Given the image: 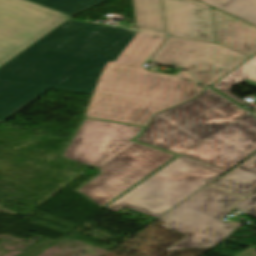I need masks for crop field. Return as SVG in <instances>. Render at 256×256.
<instances>
[{"label": "crop field", "instance_id": "obj_1", "mask_svg": "<svg viewBox=\"0 0 256 256\" xmlns=\"http://www.w3.org/2000/svg\"><path fill=\"white\" fill-rule=\"evenodd\" d=\"M136 33L65 21L0 67V122L51 88L90 94Z\"/></svg>", "mask_w": 256, "mask_h": 256}, {"label": "crop field", "instance_id": "obj_2", "mask_svg": "<svg viewBox=\"0 0 256 256\" xmlns=\"http://www.w3.org/2000/svg\"><path fill=\"white\" fill-rule=\"evenodd\" d=\"M164 38L138 32L118 59L105 66L85 116L146 126L152 114L197 96L203 89L190 74L173 76L142 67Z\"/></svg>", "mask_w": 256, "mask_h": 256}, {"label": "crop field", "instance_id": "obj_3", "mask_svg": "<svg viewBox=\"0 0 256 256\" xmlns=\"http://www.w3.org/2000/svg\"><path fill=\"white\" fill-rule=\"evenodd\" d=\"M143 129L84 117L61 157L99 174L74 191L102 208L178 157L133 141Z\"/></svg>", "mask_w": 256, "mask_h": 256}, {"label": "crop field", "instance_id": "obj_4", "mask_svg": "<svg viewBox=\"0 0 256 256\" xmlns=\"http://www.w3.org/2000/svg\"><path fill=\"white\" fill-rule=\"evenodd\" d=\"M244 114L207 89L196 99L154 115L136 141L180 154Z\"/></svg>", "mask_w": 256, "mask_h": 256}, {"label": "crop field", "instance_id": "obj_5", "mask_svg": "<svg viewBox=\"0 0 256 256\" xmlns=\"http://www.w3.org/2000/svg\"><path fill=\"white\" fill-rule=\"evenodd\" d=\"M224 170L179 156L106 207H123L158 218Z\"/></svg>", "mask_w": 256, "mask_h": 256}, {"label": "crop field", "instance_id": "obj_6", "mask_svg": "<svg viewBox=\"0 0 256 256\" xmlns=\"http://www.w3.org/2000/svg\"><path fill=\"white\" fill-rule=\"evenodd\" d=\"M238 200L240 198L205 186L158 218L166 222L161 226L185 236L167 250L211 248L218 244L235 229L221 219L230 213L231 205Z\"/></svg>", "mask_w": 256, "mask_h": 256}, {"label": "crop field", "instance_id": "obj_7", "mask_svg": "<svg viewBox=\"0 0 256 256\" xmlns=\"http://www.w3.org/2000/svg\"><path fill=\"white\" fill-rule=\"evenodd\" d=\"M68 18L25 0H0V66Z\"/></svg>", "mask_w": 256, "mask_h": 256}, {"label": "crop field", "instance_id": "obj_8", "mask_svg": "<svg viewBox=\"0 0 256 256\" xmlns=\"http://www.w3.org/2000/svg\"><path fill=\"white\" fill-rule=\"evenodd\" d=\"M247 58L214 43L169 36L152 59L167 66L174 63L210 86Z\"/></svg>", "mask_w": 256, "mask_h": 256}, {"label": "crop field", "instance_id": "obj_9", "mask_svg": "<svg viewBox=\"0 0 256 256\" xmlns=\"http://www.w3.org/2000/svg\"><path fill=\"white\" fill-rule=\"evenodd\" d=\"M256 150V118L246 115L182 156L228 170Z\"/></svg>", "mask_w": 256, "mask_h": 256}, {"label": "crop field", "instance_id": "obj_10", "mask_svg": "<svg viewBox=\"0 0 256 256\" xmlns=\"http://www.w3.org/2000/svg\"><path fill=\"white\" fill-rule=\"evenodd\" d=\"M169 35L213 42L210 7L195 0H163Z\"/></svg>", "mask_w": 256, "mask_h": 256}, {"label": "crop field", "instance_id": "obj_11", "mask_svg": "<svg viewBox=\"0 0 256 256\" xmlns=\"http://www.w3.org/2000/svg\"><path fill=\"white\" fill-rule=\"evenodd\" d=\"M216 44L246 55L256 53V27L211 7Z\"/></svg>", "mask_w": 256, "mask_h": 256}, {"label": "crop field", "instance_id": "obj_12", "mask_svg": "<svg viewBox=\"0 0 256 256\" xmlns=\"http://www.w3.org/2000/svg\"><path fill=\"white\" fill-rule=\"evenodd\" d=\"M212 185L240 197L256 190V153L217 179Z\"/></svg>", "mask_w": 256, "mask_h": 256}, {"label": "crop field", "instance_id": "obj_13", "mask_svg": "<svg viewBox=\"0 0 256 256\" xmlns=\"http://www.w3.org/2000/svg\"><path fill=\"white\" fill-rule=\"evenodd\" d=\"M136 27L144 31L164 33L160 0H133Z\"/></svg>", "mask_w": 256, "mask_h": 256}, {"label": "crop field", "instance_id": "obj_14", "mask_svg": "<svg viewBox=\"0 0 256 256\" xmlns=\"http://www.w3.org/2000/svg\"><path fill=\"white\" fill-rule=\"evenodd\" d=\"M242 82H245L256 88V56L251 58L249 61L244 63L242 66L237 68L235 71L230 73L228 76L223 78L212 87L244 105L246 104L245 102L230 93L231 87Z\"/></svg>", "mask_w": 256, "mask_h": 256}, {"label": "crop field", "instance_id": "obj_15", "mask_svg": "<svg viewBox=\"0 0 256 256\" xmlns=\"http://www.w3.org/2000/svg\"><path fill=\"white\" fill-rule=\"evenodd\" d=\"M227 12L241 20L256 25V0H199Z\"/></svg>", "mask_w": 256, "mask_h": 256}, {"label": "crop field", "instance_id": "obj_16", "mask_svg": "<svg viewBox=\"0 0 256 256\" xmlns=\"http://www.w3.org/2000/svg\"><path fill=\"white\" fill-rule=\"evenodd\" d=\"M55 11L73 16L106 0H28Z\"/></svg>", "mask_w": 256, "mask_h": 256}, {"label": "crop field", "instance_id": "obj_17", "mask_svg": "<svg viewBox=\"0 0 256 256\" xmlns=\"http://www.w3.org/2000/svg\"><path fill=\"white\" fill-rule=\"evenodd\" d=\"M234 208L238 210H242V212L252 217H256V194L247 197L240 203L236 204Z\"/></svg>", "mask_w": 256, "mask_h": 256}, {"label": "crop field", "instance_id": "obj_18", "mask_svg": "<svg viewBox=\"0 0 256 256\" xmlns=\"http://www.w3.org/2000/svg\"><path fill=\"white\" fill-rule=\"evenodd\" d=\"M211 88V87H210ZM212 90H214L213 88H211ZM214 91H216V90H214ZM217 92V91H216ZM217 93H219V92H217ZM220 94V93H219ZM220 95H222V94H220ZM223 96V95H222ZM225 97V96H224ZM225 98H227V97H225ZM228 99V98H227ZM228 100H230V99H228ZM231 101V100H230ZM233 102V101H232ZM233 103H235V102H233ZM236 104V103H235ZM236 105H238V104H236ZM238 106H240V105H238ZM241 107V106H240ZM241 108H243V107H241ZM244 110H246L245 108H243ZM246 111H248V110H246ZM249 112V111H248Z\"/></svg>", "mask_w": 256, "mask_h": 256}, {"label": "crop field", "instance_id": "obj_19", "mask_svg": "<svg viewBox=\"0 0 256 256\" xmlns=\"http://www.w3.org/2000/svg\"><path fill=\"white\" fill-rule=\"evenodd\" d=\"M252 114L256 115V111H255V112H253Z\"/></svg>", "mask_w": 256, "mask_h": 256}]
</instances>
